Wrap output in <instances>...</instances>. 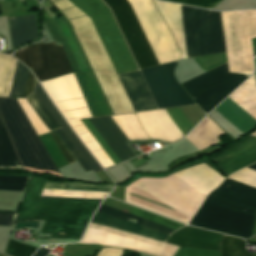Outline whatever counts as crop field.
<instances>
[{
    "label": "crop field",
    "instance_id": "obj_7",
    "mask_svg": "<svg viewBox=\"0 0 256 256\" xmlns=\"http://www.w3.org/2000/svg\"><path fill=\"white\" fill-rule=\"evenodd\" d=\"M87 16H89L99 34V37L108 53V56L116 70L117 74L137 70V66L128 50V47L119 31V28L109 10V8L101 1L97 0L106 10L121 43L134 67H132L119 38L101 5L96 0H69Z\"/></svg>",
    "mask_w": 256,
    "mask_h": 256
},
{
    "label": "crop field",
    "instance_id": "obj_29",
    "mask_svg": "<svg viewBox=\"0 0 256 256\" xmlns=\"http://www.w3.org/2000/svg\"><path fill=\"white\" fill-rule=\"evenodd\" d=\"M131 214H134L136 216H139V217H142V218H145V219H148V220H151L153 222H156V223H159V224H162V225H165L167 227H170V228H173L175 230L183 227L184 225H181V224H178L176 222H173V221H170L168 219H165L163 217H160L158 215H155L153 213H150V212H147V211H144V210H141V209H138V208H135L133 207L132 210L130 211Z\"/></svg>",
    "mask_w": 256,
    "mask_h": 256
},
{
    "label": "crop field",
    "instance_id": "obj_3",
    "mask_svg": "<svg viewBox=\"0 0 256 256\" xmlns=\"http://www.w3.org/2000/svg\"><path fill=\"white\" fill-rule=\"evenodd\" d=\"M256 219V189L226 178L198 209L190 225L249 238Z\"/></svg>",
    "mask_w": 256,
    "mask_h": 256
},
{
    "label": "crop field",
    "instance_id": "obj_11",
    "mask_svg": "<svg viewBox=\"0 0 256 256\" xmlns=\"http://www.w3.org/2000/svg\"><path fill=\"white\" fill-rule=\"evenodd\" d=\"M55 22L57 23V25L59 26V28L63 32V34H64V36H65V38H66V40H67V42H68L72 52H73V55H74L78 65L80 67L81 72H90L88 67H87V65H86V63H85V61H84V59H83V57H82V55H81V52H80V50L78 48V45H77V43H76L72 33L68 29L66 23L64 22V20L62 18H59V19H56ZM44 24H45V26H46V28H47V30H48V32H49L53 42H55L56 45L62 44V46H63V48L65 50V53H66V55L68 57V60H69V62L71 64V67H72L73 71L74 72H79V70L77 68V65H76V62H75V59H74V57H73V55H72V53H71V51H70L66 41L64 40L61 32L59 31V29L54 24L52 18L45 20ZM74 74H75V76L77 78V81L79 83V86H80V88L82 90V93H83V95L85 97V100H86V102L88 104V107L90 109V112H91L92 116L93 117L100 116V115L104 116V114L102 112V109H101V107L99 105V102L97 100V97H96V95L94 93V90L92 88V85H91V83L89 81V78L87 76V73H83V75H84V77L86 79V82H87V84L89 86V89H90L91 94H92V96L94 98V101L96 103V106H97V108L99 110L100 115L98 113V110H97V108L95 106V103L93 101V98H92V96L90 94V91L88 89V86H87V84L85 82V79H84L82 73H74Z\"/></svg>",
    "mask_w": 256,
    "mask_h": 256
},
{
    "label": "crop field",
    "instance_id": "obj_31",
    "mask_svg": "<svg viewBox=\"0 0 256 256\" xmlns=\"http://www.w3.org/2000/svg\"><path fill=\"white\" fill-rule=\"evenodd\" d=\"M35 250L36 248L24 245L10 239L4 253L10 256H31V254Z\"/></svg>",
    "mask_w": 256,
    "mask_h": 256
},
{
    "label": "crop field",
    "instance_id": "obj_37",
    "mask_svg": "<svg viewBox=\"0 0 256 256\" xmlns=\"http://www.w3.org/2000/svg\"><path fill=\"white\" fill-rule=\"evenodd\" d=\"M122 253V250L116 249V248H107L102 249L98 256H120Z\"/></svg>",
    "mask_w": 256,
    "mask_h": 256
},
{
    "label": "crop field",
    "instance_id": "obj_26",
    "mask_svg": "<svg viewBox=\"0 0 256 256\" xmlns=\"http://www.w3.org/2000/svg\"><path fill=\"white\" fill-rule=\"evenodd\" d=\"M17 61L0 54V96L8 97Z\"/></svg>",
    "mask_w": 256,
    "mask_h": 256
},
{
    "label": "crop field",
    "instance_id": "obj_16",
    "mask_svg": "<svg viewBox=\"0 0 256 256\" xmlns=\"http://www.w3.org/2000/svg\"><path fill=\"white\" fill-rule=\"evenodd\" d=\"M173 175L204 195L211 192L225 179L204 164L173 173Z\"/></svg>",
    "mask_w": 256,
    "mask_h": 256
},
{
    "label": "crop field",
    "instance_id": "obj_5",
    "mask_svg": "<svg viewBox=\"0 0 256 256\" xmlns=\"http://www.w3.org/2000/svg\"><path fill=\"white\" fill-rule=\"evenodd\" d=\"M69 20L114 114L134 112L90 20L68 0H50Z\"/></svg>",
    "mask_w": 256,
    "mask_h": 256
},
{
    "label": "crop field",
    "instance_id": "obj_19",
    "mask_svg": "<svg viewBox=\"0 0 256 256\" xmlns=\"http://www.w3.org/2000/svg\"><path fill=\"white\" fill-rule=\"evenodd\" d=\"M13 48L38 39L35 16L9 18Z\"/></svg>",
    "mask_w": 256,
    "mask_h": 256
},
{
    "label": "crop field",
    "instance_id": "obj_12",
    "mask_svg": "<svg viewBox=\"0 0 256 256\" xmlns=\"http://www.w3.org/2000/svg\"><path fill=\"white\" fill-rule=\"evenodd\" d=\"M99 129L103 132L112 146L116 149L123 160L135 156L124 141L132 140L126 129L123 127L117 116L92 118ZM91 118L82 119V123L103 148L114 164L122 161L121 157L111 146L102 132L98 129Z\"/></svg>",
    "mask_w": 256,
    "mask_h": 256
},
{
    "label": "crop field",
    "instance_id": "obj_28",
    "mask_svg": "<svg viewBox=\"0 0 256 256\" xmlns=\"http://www.w3.org/2000/svg\"><path fill=\"white\" fill-rule=\"evenodd\" d=\"M30 177L0 176V190L24 192Z\"/></svg>",
    "mask_w": 256,
    "mask_h": 256
},
{
    "label": "crop field",
    "instance_id": "obj_38",
    "mask_svg": "<svg viewBox=\"0 0 256 256\" xmlns=\"http://www.w3.org/2000/svg\"><path fill=\"white\" fill-rule=\"evenodd\" d=\"M50 250L40 247L34 256H46Z\"/></svg>",
    "mask_w": 256,
    "mask_h": 256
},
{
    "label": "crop field",
    "instance_id": "obj_22",
    "mask_svg": "<svg viewBox=\"0 0 256 256\" xmlns=\"http://www.w3.org/2000/svg\"><path fill=\"white\" fill-rule=\"evenodd\" d=\"M228 98L256 119V81L254 75Z\"/></svg>",
    "mask_w": 256,
    "mask_h": 256
},
{
    "label": "crop field",
    "instance_id": "obj_1",
    "mask_svg": "<svg viewBox=\"0 0 256 256\" xmlns=\"http://www.w3.org/2000/svg\"><path fill=\"white\" fill-rule=\"evenodd\" d=\"M176 39L181 58L227 52L229 72L251 75L254 72L251 39L256 38V11L220 12L168 4L153 0Z\"/></svg>",
    "mask_w": 256,
    "mask_h": 256
},
{
    "label": "crop field",
    "instance_id": "obj_6",
    "mask_svg": "<svg viewBox=\"0 0 256 256\" xmlns=\"http://www.w3.org/2000/svg\"><path fill=\"white\" fill-rule=\"evenodd\" d=\"M0 112L22 166L59 173L16 99L0 98Z\"/></svg>",
    "mask_w": 256,
    "mask_h": 256
},
{
    "label": "crop field",
    "instance_id": "obj_25",
    "mask_svg": "<svg viewBox=\"0 0 256 256\" xmlns=\"http://www.w3.org/2000/svg\"><path fill=\"white\" fill-rule=\"evenodd\" d=\"M107 194L109 193L43 189L41 196L104 199V197H106ZM51 197H41L40 199L101 202V200H93V199H72V198H51Z\"/></svg>",
    "mask_w": 256,
    "mask_h": 256
},
{
    "label": "crop field",
    "instance_id": "obj_20",
    "mask_svg": "<svg viewBox=\"0 0 256 256\" xmlns=\"http://www.w3.org/2000/svg\"><path fill=\"white\" fill-rule=\"evenodd\" d=\"M28 101L31 103V105L33 106L35 111L38 113L40 118L44 121V123L48 126V128L51 131L60 129V127L57 125V123L54 121V119L50 116V114L47 112V110L44 108V106L41 104V102L38 100V98L35 96V94L32 95L30 98H28ZM54 133L60 138V140L64 143V145L73 154V156L76 158V160L81 165V167L84 169V171L85 172L90 171L91 168L88 166V164L85 162V160L79 154V152L76 150V148L73 146V144L67 138V136L63 133V131L60 129V130L54 131Z\"/></svg>",
    "mask_w": 256,
    "mask_h": 256
},
{
    "label": "crop field",
    "instance_id": "obj_33",
    "mask_svg": "<svg viewBox=\"0 0 256 256\" xmlns=\"http://www.w3.org/2000/svg\"><path fill=\"white\" fill-rule=\"evenodd\" d=\"M171 116L175 120V122L178 124V126L183 130V132L186 134L188 131L193 128L190 123L185 119V117L182 115L179 108H170L168 109Z\"/></svg>",
    "mask_w": 256,
    "mask_h": 256
},
{
    "label": "crop field",
    "instance_id": "obj_36",
    "mask_svg": "<svg viewBox=\"0 0 256 256\" xmlns=\"http://www.w3.org/2000/svg\"><path fill=\"white\" fill-rule=\"evenodd\" d=\"M17 214L0 213V226H9L15 221Z\"/></svg>",
    "mask_w": 256,
    "mask_h": 256
},
{
    "label": "crop field",
    "instance_id": "obj_23",
    "mask_svg": "<svg viewBox=\"0 0 256 256\" xmlns=\"http://www.w3.org/2000/svg\"><path fill=\"white\" fill-rule=\"evenodd\" d=\"M29 70H27L23 65H21L19 62L17 63L11 91L9 97H22L27 76H28ZM35 78L32 76V74L29 72L25 92L23 97H27L30 94H32L35 86Z\"/></svg>",
    "mask_w": 256,
    "mask_h": 256
},
{
    "label": "crop field",
    "instance_id": "obj_30",
    "mask_svg": "<svg viewBox=\"0 0 256 256\" xmlns=\"http://www.w3.org/2000/svg\"><path fill=\"white\" fill-rule=\"evenodd\" d=\"M246 169L256 172V162H255V164L247 167ZM246 169H242V170L228 176V178H231V179L237 180L239 182H242L244 184L256 187V173L246 170Z\"/></svg>",
    "mask_w": 256,
    "mask_h": 256
},
{
    "label": "crop field",
    "instance_id": "obj_34",
    "mask_svg": "<svg viewBox=\"0 0 256 256\" xmlns=\"http://www.w3.org/2000/svg\"><path fill=\"white\" fill-rule=\"evenodd\" d=\"M165 1L211 9L214 5H216L221 0H165Z\"/></svg>",
    "mask_w": 256,
    "mask_h": 256
},
{
    "label": "crop field",
    "instance_id": "obj_41",
    "mask_svg": "<svg viewBox=\"0 0 256 256\" xmlns=\"http://www.w3.org/2000/svg\"><path fill=\"white\" fill-rule=\"evenodd\" d=\"M254 62H255V66H256V58L254 59Z\"/></svg>",
    "mask_w": 256,
    "mask_h": 256
},
{
    "label": "crop field",
    "instance_id": "obj_13",
    "mask_svg": "<svg viewBox=\"0 0 256 256\" xmlns=\"http://www.w3.org/2000/svg\"><path fill=\"white\" fill-rule=\"evenodd\" d=\"M97 213L103 214V215H107L122 221H126L138 226H142L157 232H161L167 235H170L173 231L172 229H169L167 227L155 224L153 222L138 218L136 216L127 214L125 212L122 211H118L109 207H105V206H100V208L98 209ZM95 213V215L93 216V218L91 219L90 223L92 224H96V225H101V226H106V227H110V228H115V229H119V230H124V231H129V232H133V233H137L146 237H150L159 241H163L165 242L166 238L168 237L167 235L161 234V233H157L142 227H138L126 222H122L107 216H103L100 214Z\"/></svg>",
    "mask_w": 256,
    "mask_h": 256
},
{
    "label": "crop field",
    "instance_id": "obj_10",
    "mask_svg": "<svg viewBox=\"0 0 256 256\" xmlns=\"http://www.w3.org/2000/svg\"><path fill=\"white\" fill-rule=\"evenodd\" d=\"M177 62L140 70L158 108L195 104L176 83L173 71Z\"/></svg>",
    "mask_w": 256,
    "mask_h": 256
},
{
    "label": "crop field",
    "instance_id": "obj_2",
    "mask_svg": "<svg viewBox=\"0 0 256 256\" xmlns=\"http://www.w3.org/2000/svg\"><path fill=\"white\" fill-rule=\"evenodd\" d=\"M112 10L125 39L140 67L177 60L180 51L151 0H103Z\"/></svg>",
    "mask_w": 256,
    "mask_h": 256
},
{
    "label": "crop field",
    "instance_id": "obj_18",
    "mask_svg": "<svg viewBox=\"0 0 256 256\" xmlns=\"http://www.w3.org/2000/svg\"><path fill=\"white\" fill-rule=\"evenodd\" d=\"M34 93L39 98V100L42 102V104L45 106V108L48 110V112L52 115V117L56 120V122L60 125V127L63 129V131L69 137V139L72 141V143L75 145V147L81 153V155L84 157V159L90 165V167L93 169V171L94 172L102 171L100 166L95 162V160L92 158V156L88 153V151L85 149V147L81 144V142L78 140V138L74 135V133L71 131V129L65 123V121L62 119V117L56 111V109L54 108V106L52 105V103L49 101L46 94L44 93L43 89L39 85L38 81L36 83Z\"/></svg>",
    "mask_w": 256,
    "mask_h": 256
},
{
    "label": "crop field",
    "instance_id": "obj_9",
    "mask_svg": "<svg viewBox=\"0 0 256 256\" xmlns=\"http://www.w3.org/2000/svg\"><path fill=\"white\" fill-rule=\"evenodd\" d=\"M14 57L32 68L39 81L73 72L62 46L55 43L23 47L15 51Z\"/></svg>",
    "mask_w": 256,
    "mask_h": 256
},
{
    "label": "crop field",
    "instance_id": "obj_21",
    "mask_svg": "<svg viewBox=\"0 0 256 256\" xmlns=\"http://www.w3.org/2000/svg\"><path fill=\"white\" fill-rule=\"evenodd\" d=\"M215 110L243 133L256 124V121L252 117H250L228 98L223 101Z\"/></svg>",
    "mask_w": 256,
    "mask_h": 256
},
{
    "label": "crop field",
    "instance_id": "obj_43",
    "mask_svg": "<svg viewBox=\"0 0 256 256\" xmlns=\"http://www.w3.org/2000/svg\"><path fill=\"white\" fill-rule=\"evenodd\" d=\"M46 127V126H45ZM48 130V129H47ZM48 132H49V130H48Z\"/></svg>",
    "mask_w": 256,
    "mask_h": 256
},
{
    "label": "crop field",
    "instance_id": "obj_27",
    "mask_svg": "<svg viewBox=\"0 0 256 256\" xmlns=\"http://www.w3.org/2000/svg\"><path fill=\"white\" fill-rule=\"evenodd\" d=\"M222 256H253V253H247L245 241L224 235Z\"/></svg>",
    "mask_w": 256,
    "mask_h": 256
},
{
    "label": "crop field",
    "instance_id": "obj_42",
    "mask_svg": "<svg viewBox=\"0 0 256 256\" xmlns=\"http://www.w3.org/2000/svg\"><path fill=\"white\" fill-rule=\"evenodd\" d=\"M0 256H5V255H3V254H0Z\"/></svg>",
    "mask_w": 256,
    "mask_h": 256
},
{
    "label": "crop field",
    "instance_id": "obj_39",
    "mask_svg": "<svg viewBox=\"0 0 256 256\" xmlns=\"http://www.w3.org/2000/svg\"><path fill=\"white\" fill-rule=\"evenodd\" d=\"M253 47L256 46V39L252 40ZM254 56L256 55V47L253 48Z\"/></svg>",
    "mask_w": 256,
    "mask_h": 256
},
{
    "label": "crop field",
    "instance_id": "obj_17",
    "mask_svg": "<svg viewBox=\"0 0 256 256\" xmlns=\"http://www.w3.org/2000/svg\"><path fill=\"white\" fill-rule=\"evenodd\" d=\"M118 77L135 111L157 109L139 71Z\"/></svg>",
    "mask_w": 256,
    "mask_h": 256
},
{
    "label": "crop field",
    "instance_id": "obj_24",
    "mask_svg": "<svg viewBox=\"0 0 256 256\" xmlns=\"http://www.w3.org/2000/svg\"><path fill=\"white\" fill-rule=\"evenodd\" d=\"M0 168H22L0 118Z\"/></svg>",
    "mask_w": 256,
    "mask_h": 256
},
{
    "label": "crop field",
    "instance_id": "obj_8",
    "mask_svg": "<svg viewBox=\"0 0 256 256\" xmlns=\"http://www.w3.org/2000/svg\"><path fill=\"white\" fill-rule=\"evenodd\" d=\"M247 77L249 76L228 73L226 63L181 86L207 114Z\"/></svg>",
    "mask_w": 256,
    "mask_h": 256
},
{
    "label": "crop field",
    "instance_id": "obj_4",
    "mask_svg": "<svg viewBox=\"0 0 256 256\" xmlns=\"http://www.w3.org/2000/svg\"><path fill=\"white\" fill-rule=\"evenodd\" d=\"M43 178L32 176L16 221L46 220L40 233L50 238L80 239L99 203L38 200Z\"/></svg>",
    "mask_w": 256,
    "mask_h": 256
},
{
    "label": "crop field",
    "instance_id": "obj_40",
    "mask_svg": "<svg viewBox=\"0 0 256 256\" xmlns=\"http://www.w3.org/2000/svg\"><path fill=\"white\" fill-rule=\"evenodd\" d=\"M251 136H255L256 137V132L252 133Z\"/></svg>",
    "mask_w": 256,
    "mask_h": 256
},
{
    "label": "crop field",
    "instance_id": "obj_14",
    "mask_svg": "<svg viewBox=\"0 0 256 256\" xmlns=\"http://www.w3.org/2000/svg\"><path fill=\"white\" fill-rule=\"evenodd\" d=\"M210 158L228 176L230 173L256 161V138L248 136Z\"/></svg>",
    "mask_w": 256,
    "mask_h": 256
},
{
    "label": "crop field",
    "instance_id": "obj_35",
    "mask_svg": "<svg viewBox=\"0 0 256 256\" xmlns=\"http://www.w3.org/2000/svg\"><path fill=\"white\" fill-rule=\"evenodd\" d=\"M50 136L52 137V139L54 140L55 144L57 145V147L59 148V150L61 151V153L63 154L64 158L66 159V161L68 162V164L75 162V160L73 159V157L68 153V151L65 149V147L62 145L61 141L57 138V136L53 133L50 134Z\"/></svg>",
    "mask_w": 256,
    "mask_h": 256
},
{
    "label": "crop field",
    "instance_id": "obj_15",
    "mask_svg": "<svg viewBox=\"0 0 256 256\" xmlns=\"http://www.w3.org/2000/svg\"><path fill=\"white\" fill-rule=\"evenodd\" d=\"M223 235L186 226L170 235L167 243L178 246L220 251Z\"/></svg>",
    "mask_w": 256,
    "mask_h": 256
},
{
    "label": "crop field",
    "instance_id": "obj_32",
    "mask_svg": "<svg viewBox=\"0 0 256 256\" xmlns=\"http://www.w3.org/2000/svg\"><path fill=\"white\" fill-rule=\"evenodd\" d=\"M174 256H220V252L179 247Z\"/></svg>",
    "mask_w": 256,
    "mask_h": 256
}]
</instances>
